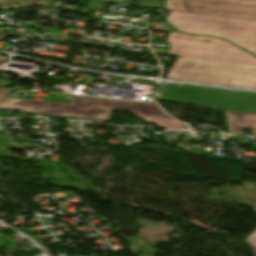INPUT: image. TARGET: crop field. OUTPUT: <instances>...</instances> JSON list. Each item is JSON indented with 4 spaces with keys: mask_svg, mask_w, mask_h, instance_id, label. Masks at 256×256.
Masks as SVG:
<instances>
[{
    "mask_svg": "<svg viewBox=\"0 0 256 256\" xmlns=\"http://www.w3.org/2000/svg\"><path fill=\"white\" fill-rule=\"evenodd\" d=\"M10 89L0 88V109H20L24 112L89 118L109 121L111 108L133 112L144 120L161 127L187 129V126L164 114L157 105L48 94L42 101L6 97Z\"/></svg>",
    "mask_w": 256,
    "mask_h": 256,
    "instance_id": "obj_1",
    "label": "crop field"
},
{
    "mask_svg": "<svg viewBox=\"0 0 256 256\" xmlns=\"http://www.w3.org/2000/svg\"><path fill=\"white\" fill-rule=\"evenodd\" d=\"M166 79L256 89V65L178 57Z\"/></svg>",
    "mask_w": 256,
    "mask_h": 256,
    "instance_id": "obj_2",
    "label": "crop field"
},
{
    "mask_svg": "<svg viewBox=\"0 0 256 256\" xmlns=\"http://www.w3.org/2000/svg\"><path fill=\"white\" fill-rule=\"evenodd\" d=\"M165 20L182 33L219 37L256 54V21L176 11Z\"/></svg>",
    "mask_w": 256,
    "mask_h": 256,
    "instance_id": "obj_3",
    "label": "crop field"
},
{
    "mask_svg": "<svg viewBox=\"0 0 256 256\" xmlns=\"http://www.w3.org/2000/svg\"><path fill=\"white\" fill-rule=\"evenodd\" d=\"M211 89V88H209ZM155 94L162 101L230 111L256 113V94L240 93L203 87L159 85ZM214 109V108H213Z\"/></svg>",
    "mask_w": 256,
    "mask_h": 256,
    "instance_id": "obj_4",
    "label": "crop field"
},
{
    "mask_svg": "<svg viewBox=\"0 0 256 256\" xmlns=\"http://www.w3.org/2000/svg\"><path fill=\"white\" fill-rule=\"evenodd\" d=\"M156 30L170 32L168 44H171V46L169 51L153 49L155 53L256 64L255 57L225 41L183 35L173 31L165 23H162ZM213 46L217 47L216 50L212 49Z\"/></svg>",
    "mask_w": 256,
    "mask_h": 256,
    "instance_id": "obj_5",
    "label": "crop field"
},
{
    "mask_svg": "<svg viewBox=\"0 0 256 256\" xmlns=\"http://www.w3.org/2000/svg\"><path fill=\"white\" fill-rule=\"evenodd\" d=\"M167 10L256 20V0H166Z\"/></svg>",
    "mask_w": 256,
    "mask_h": 256,
    "instance_id": "obj_6",
    "label": "crop field"
},
{
    "mask_svg": "<svg viewBox=\"0 0 256 256\" xmlns=\"http://www.w3.org/2000/svg\"><path fill=\"white\" fill-rule=\"evenodd\" d=\"M229 133L245 135L239 129L252 128L256 136V114L226 111Z\"/></svg>",
    "mask_w": 256,
    "mask_h": 256,
    "instance_id": "obj_7",
    "label": "crop field"
},
{
    "mask_svg": "<svg viewBox=\"0 0 256 256\" xmlns=\"http://www.w3.org/2000/svg\"><path fill=\"white\" fill-rule=\"evenodd\" d=\"M0 142L9 144L11 142V139L8 135L0 134ZM0 155L13 157L12 154L2 146H0Z\"/></svg>",
    "mask_w": 256,
    "mask_h": 256,
    "instance_id": "obj_8",
    "label": "crop field"
},
{
    "mask_svg": "<svg viewBox=\"0 0 256 256\" xmlns=\"http://www.w3.org/2000/svg\"><path fill=\"white\" fill-rule=\"evenodd\" d=\"M254 210L256 211V207H253ZM245 242L249 243L256 255V230L245 239Z\"/></svg>",
    "mask_w": 256,
    "mask_h": 256,
    "instance_id": "obj_9",
    "label": "crop field"
}]
</instances>
